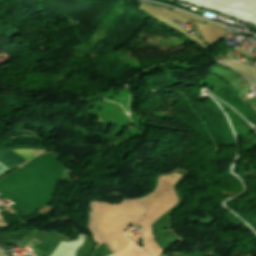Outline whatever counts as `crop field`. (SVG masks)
<instances>
[{
  "label": "crop field",
  "instance_id": "1",
  "mask_svg": "<svg viewBox=\"0 0 256 256\" xmlns=\"http://www.w3.org/2000/svg\"><path fill=\"white\" fill-rule=\"evenodd\" d=\"M18 154H20L27 161L30 160L35 155L29 149H13ZM12 149L6 151H0V162L4 164L10 170L15 168L16 166L26 162L21 156H19ZM0 163V176L4 175L9 169H7L4 165Z\"/></svg>",
  "mask_w": 256,
  "mask_h": 256
}]
</instances>
